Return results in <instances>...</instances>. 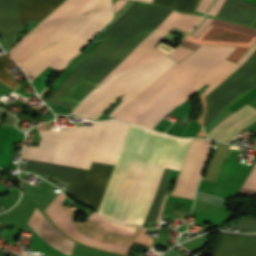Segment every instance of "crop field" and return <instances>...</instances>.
Returning <instances> with one entry per match:
<instances>
[{"label": "crop field", "instance_id": "1", "mask_svg": "<svg viewBox=\"0 0 256 256\" xmlns=\"http://www.w3.org/2000/svg\"><path fill=\"white\" fill-rule=\"evenodd\" d=\"M171 12L172 10L170 9L142 2L127 19L112 30L87 59L80 63L65 78L55 92L48 97L47 100L49 103L72 109L78 102L66 97L80 80L97 85ZM200 19L201 16L184 15L173 11L117 68L102 80L98 86L120 71L128 70L147 59L163 54L154 47L170 29L175 27L189 33Z\"/></svg>", "mask_w": 256, "mask_h": 256}, {"label": "crop field", "instance_id": "2", "mask_svg": "<svg viewBox=\"0 0 256 256\" xmlns=\"http://www.w3.org/2000/svg\"><path fill=\"white\" fill-rule=\"evenodd\" d=\"M88 1L63 2L11 49L14 56L23 62ZM112 16L111 0H90L23 63L36 77L48 66L60 71L67 60L84 48Z\"/></svg>", "mask_w": 256, "mask_h": 256}, {"label": "crop field", "instance_id": "3", "mask_svg": "<svg viewBox=\"0 0 256 256\" xmlns=\"http://www.w3.org/2000/svg\"><path fill=\"white\" fill-rule=\"evenodd\" d=\"M128 126L108 122L93 161L115 165ZM157 136L142 127L130 126L99 214L117 223L126 222Z\"/></svg>", "mask_w": 256, "mask_h": 256}, {"label": "crop field", "instance_id": "4", "mask_svg": "<svg viewBox=\"0 0 256 256\" xmlns=\"http://www.w3.org/2000/svg\"><path fill=\"white\" fill-rule=\"evenodd\" d=\"M233 49L201 46L127 105L116 118L153 128L177 106L173 103L176 99L223 62Z\"/></svg>", "mask_w": 256, "mask_h": 256}, {"label": "crop field", "instance_id": "5", "mask_svg": "<svg viewBox=\"0 0 256 256\" xmlns=\"http://www.w3.org/2000/svg\"><path fill=\"white\" fill-rule=\"evenodd\" d=\"M176 63L164 56L127 72L119 73L96 88L73 113L98 119L124 93L120 98L123 100L122 103L108 115L115 117L126 104Z\"/></svg>", "mask_w": 256, "mask_h": 256}, {"label": "crop field", "instance_id": "6", "mask_svg": "<svg viewBox=\"0 0 256 256\" xmlns=\"http://www.w3.org/2000/svg\"><path fill=\"white\" fill-rule=\"evenodd\" d=\"M192 138L159 134L126 223H143L164 167L180 170Z\"/></svg>", "mask_w": 256, "mask_h": 256}, {"label": "crop field", "instance_id": "7", "mask_svg": "<svg viewBox=\"0 0 256 256\" xmlns=\"http://www.w3.org/2000/svg\"><path fill=\"white\" fill-rule=\"evenodd\" d=\"M115 166L94 163L92 162L90 172L86 170H80L71 167H63L39 162L30 161L29 165L27 166V171H36L43 174L51 175L57 178L68 179L71 180L73 174L75 175L72 179V182L69 186L67 191L72 197L78 199L79 194V201L93 207L99 208L101 199L103 197L104 191L107 187V184L110 180L112 175L113 169Z\"/></svg>", "mask_w": 256, "mask_h": 256}, {"label": "crop field", "instance_id": "8", "mask_svg": "<svg viewBox=\"0 0 256 256\" xmlns=\"http://www.w3.org/2000/svg\"><path fill=\"white\" fill-rule=\"evenodd\" d=\"M65 0H0V36L10 48L28 23L42 21Z\"/></svg>", "mask_w": 256, "mask_h": 256}, {"label": "crop field", "instance_id": "9", "mask_svg": "<svg viewBox=\"0 0 256 256\" xmlns=\"http://www.w3.org/2000/svg\"><path fill=\"white\" fill-rule=\"evenodd\" d=\"M255 87L256 51L231 77L221 83L206 97L209 112L205 128L229 105Z\"/></svg>", "mask_w": 256, "mask_h": 256}, {"label": "crop field", "instance_id": "10", "mask_svg": "<svg viewBox=\"0 0 256 256\" xmlns=\"http://www.w3.org/2000/svg\"><path fill=\"white\" fill-rule=\"evenodd\" d=\"M106 122L56 131H38L41 138L77 144L70 164L89 169Z\"/></svg>", "mask_w": 256, "mask_h": 256}, {"label": "crop field", "instance_id": "11", "mask_svg": "<svg viewBox=\"0 0 256 256\" xmlns=\"http://www.w3.org/2000/svg\"><path fill=\"white\" fill-rule=\"evenodd\" d=\"M256 39V30L238 24L213 19L199 38L188 35L186 40L199 44L237 46L227 60L236 63Z\"/></svg>", "mask_w": 256, "mask_h": 256}, {"label": "crop field", "instance_id": "12", "mask_svg": "<svg viewBox=\"0 0 256 256\" xmlns=\"http://www.w3.org/2000/svg\"><path fill=\"white\" fill-rule=\"evenodd\" d=\"M48 221L36 207L27 224L47 244L69 255L75 242L63 236Z\"/></svg>", "mask_w": 256, "mask_h": 256}, {"label": "crop field", "instance_id": "13", "mask_svg": "<svg viewBox=\"0 0 256 256\" xmlns=\"http://www.w3.org/2000/svg\"><path fill=\"white\" fill-rule=\"evenodd\" d=\"M256 120V109L244 105L217 124L207 136L226 142L234 133Z\"/></svg>", "mask_w": 256, "mask_h": 256}, {"label": "crop field", "instance_id": "14", "mask_svg": "<svg viewBox=\"0 0 256 256\" xmlns=\"http://www.w3.org/2000/svg\"><path fill=\"white\" fill-rule=\"evenodd\" d=\"M212 256H256V235L222 233Z\"/></svg>", "mask_w": 256, "mask_h": 256}, {"label": "crop field", "instance_id": "15", "mask_svg": "<svg viewBox=\"0 0 256 256\" xmlns=\"http://www.w3.org/2000/svg\"><path fill=\"white\" fill-rule=\"evenodd\" d=\"M74 146L42 139L38 148L27 147L25 158L68 165Z\"/></svg>", "mask_w": 256, "mask_h": 256}, {"label": "crop field", "instance_id": "16", "mask_svg": "<svg viewBox=\"0 0 256 256\" xmlns=\"http://www.w3.org/2000/svg\"><path fill=\"white\" fill-rule=\"evenodd\" d=\"M216 17L251 26L256 19V5L239 0H226Z\"/></svg>", "mask_w": 256, "mask_h": 256}, {"label": "crop field", "instance_id": "17", "mask_svg": "<svg viewBox=\"0 0 256 256\" xmlns=\"http://www.w3.org/2000/svg\"><path fill=\"white\" fill-rule=\"evenodd\" d=\"M53 219L56 221V223L59 225L61 229L69 233L71 236L85 242L88 244H91L93 246H96L98 239L93 238L89 235H86L75 228L78 227L74 223L71 222V217L68 215V213L63 209V207L60 205L55 212L51 215ZM88 219L102 225L105 227L108 226L109 222L106 221L105 219L95 215L91 214Z\"/></svg>", "mask_w": 256, "mask_h": 256}, {"label": "crop field", "instance_id": "18", "mask_svg": "<svg viewBox=\"0 0 256 256\" xmlns=\"http://www.w3.org/2000/svg\"><path fill=\"white\" fill-rule=\"evenodd\" d=\"M203 139L192 141L171 195L182 197Z\"/></svg>", "mask_w": 256, "mask_h": 256}, {"label": "crop field", "instance_id": "19", "mask_svg": "<svg viewBox=\"0 0 256 256\" xmlns=\"http://www.w3.org/2000/svg\"><path fill=\"white\" fill-rule=\"evenodd\" d=\"M239 66L240 65L225 60L221 65H219L211 73H209L204 79L205 82L210 85L208 88L205 89V93L208 94L210 91H212Z\"/></svg>", "mask_w": 256, "mask_h": 256}, {"label": "crop field", "instance_id": "20", "mask_svg": "<svg viewBox=\"0 0 256 256\" xmlns=\"http://www.w3.org/2000/svg\"><path fill=\"white\" fill-rule=\"evenodd\" d=\"M136 227H122V226H117L113 223H110L108 226L107 230L108 232L120 234V235H128V236H133L134 231ZM98 247H103L111 250H117V251H123L126 252L129 246L126 245H121V244H115V243H110L106 241H99L97 244Z\"/></svg>", "mask_w": 256, "mask_h": 256}, {"label": "crop field", "instance_id": "21", "mask_svg": "<svg viewBox=\"0 0 256 256\" xmlns=\"http://www.w3.org/2000/svg\"><path fill=\"white\" fill-rule=\"evenodd\" d=\"M12 65H14V63L11 60H9L5 55L0 57V80L16 88L19 84L11 77L6 68Z\"/></svg>", "mask_w": 256, "mask_h": 256}, {"label": "crop field", "instance_id": "22", "mask_svg": "<svg viewBox=\"0 0 256 256\" xmlns=\"http://www.w3.org/2000/svg\"><path fill=\"white\" fill-rule=\"evenodd\" d=\"M240 192L256 194V164L244 182Z\"/></svg>", "mask_w": 256, "mask_h": 256}, {"label": "crop field", "instance_id": "23", "mask_svg": "<svg viewBox=\"0 0 256 256\" xmlns=\"http://www.w3.org/2000/svg\"><path fill=\"white\" fill-rule=\"evenodd\" d=\"M192 50H189L187 48L184 47H177L176 49H174L171 53L167 54L170 57L174 58L177 61H182L187 55H189L190 53H192Z\"/></svg>", "mask_w": 256, "mask_h": 256}, {"label": "crop field", "instance_id": "24", "mask_svg": "<svg viewBox=\"0 0 256 256\" xmlns=\"http://www.w3.org/2000/svg\"><path fill=\"white\" fill-rule=\"evenodd\" d=\"M236 226L247 228L245 232H256V220L253 219H240Z\"/></svg>", "mask_w": 256, "mask_h": 256}, {"label": "crop field", "instance_id": "25", "mask_svg": "<svg viewBox=\"0 0 256 256\" xmlns=\"http://www.w3.org/2000/svg\"><path fill=\"white\" fill-rule=\"evenodd\" d=\"M183 1L184 0H153L152 3L167 6L176 10Z\"/></svg>", "mask_w": 256, "mask_h": 256}, {"label": "crop field", "instance_id": "26", "mask_svg": "<svg viewBox=\"0 0 256 256\" xmlns=\"http://www.w3.org/2000/svg\"><path fill=\"white\" fill-rule=\"evenodd\" d=\"M204 85L203 81L201 80L196 85H194L191 89H189L184 95H182L175 103L181 104L183 103L189 96H191L195 91L201 88Z\"/></svg>", "mask_w": 256, "mask_h": 256}, {"label": "crop field", "instance_id": "27", "mask_svg": "<svg viewBox=\"0 0 256 256\" xmlns=\"http://www.w3.org/2000/svg\"><path fill=\"white\" fill-rule=\"evenodd\" d=\"M198 0H185L179 7L178 11L192 13Z\"/></svg>", "mask_w": 256, "mask_h": 256}, {"label": "crop field", "instance_id": "28", "mask_svg": "<svg viewBox=\"0 0 256 256\" xmlns=\"http://www.w3.org/2000/svg\"><path fill=\"white\" fill-rule=\"evenodd\" d=\"M138 5H139V2L134 1L132 7L121 17V19H120L119 21L117 20L118 22H116L106 33H104L100 39H104V38L111 32V30H112L116 25H118L122 20H124L126 17H128V16L132 13V11H133Z\"/></svg>", "mask_w": 256, "mask_h": 256}, {"label": "crop field", "instance_id": "29", "mask_svg": "<svg viewBox=\"0 0 256 256\" xmlns=\"http://www.w3.org/2000/svg\"><path fill=\"white\" fill-rule=\"evenodd\" d=\"M65 196V195H64ZM61 193L52 201V203L45 209L49 215L57 208V206L62 202L64 197ZM64 201V200H63Z\"/></svg>", "mask_w": 256, "mask_h": 256}, {"label": "crop field", "instance_id": "30", "mask_svg": "<svg viewBox=\"0 0 256 256\" xmlns=\"http://www.w3.org/2000/svg\"><path fill=\"white\" fill-rule=\"evenodd\" d=\"M212 18H205L203 22L197 27V29L194 31L193 35L199 36L209 25Z\"/></svg>", "mask_w": 256, "mask_h": 256}, {"label": "crop field", "instance_id": "31", "mask_svg": "<svg viewBox=\"0 0 256 256\" xmlns=\"http://www.w3.org/2000/svg\"><path fill=\"white\" fill-rule=\"evenodd\" d=\"M255 49H256V40L251 45V47L244 53V55L239 59L237 63L241 65L244 61H246L249 58V56L254 52Z\"/></svg>", "mask_w": 256, "mask_h": 256}, {"label": "crop field", "instance_id": "32", "mask_svg": "<svg viewBox=\"0 0 256 256\" xmlns=\"http://www.w3.org/2000/svg\"><path fill=\"white\" fill-rule=\"evenodd\" d=\"M213 1L214 0H202V2L200 3V5L197 8V11L205 13Z\"/></svg>", "mask_w": 256, "mask_h": 256}, {"label": "crop field", "instance_id": "33", "mask_svg": "<svg viewBox=\"0 0 256 256\" xmlns=\"http://www.w3.org/2000/svg\"><path fill=\"white\" fill-rule=\"evenodd\" d=\"M224 1L225 0H217L216 4L214 5V7L210 10V12L208 14L215 16L217 14V12L220 10V8L222 7Z\"/></svg>", "mask_w": 256, "mask_h": 256}, {"label": "crop field", "instance_id": "34", "mask_svg": "<svg viewBox=\"0 0 256 256\" xmlns=\"http://www.w3.org/2000/svg\"><path fill=\"white\" fill-rule=\"evenodd\" d=\"M181 45H184V46H186V47L192 48V49H194V50H196L198 47H200V45H198V44H194V43L187 42V41H183V42L181 43Z\"/></svg>", "mask_w": 256, "mask_h": 256}, {"label": "crop field", "instance_id": "35", "mask_svg": "<svg viewBox=\"0 0 256 256\" xmlns=\"http://www.w3.org/2000/svg\"><path fill=\"white\" fill-rule=\"evenodd\" d=\"M126 1L124 0H117L114 4L116 6V12L123 6V4L125 3Z\"/></svg>", "mask_w": 256, "mask_h": 256}, {"label": "crop field", "instance_id": "36", "mask_svg": "<svg viewBox=\"0 0 256 256\" xmlns=\"http://www.w3.org/2000/svg\"><path fill=\"white\" fill-rule=\"evenodd\" d=\"M185 213H186L185 211L173 209L171 214H173V215H185Z\"/></svg>", "mask_w": 256, "mask_h": 256}, {"label": "crop field", "instance_id": "37", "mask_svg": "<svg viewBox=\"0 0 256 256\" xmlns=\"http://www.w3.org/2000/svg\"><path fill=\"white\" fill-rule=\"evenodd\" d=\"M140 1H145V2H149V3L151 2V0H140Z\"/></svg>", "mask_w": 256, "mask_h": 256}]
</instances>
